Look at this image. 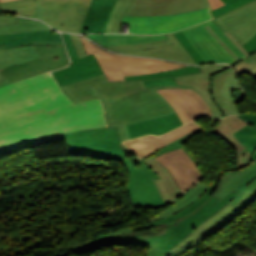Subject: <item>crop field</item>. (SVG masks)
Instances as JSON below:
<instances>
[{
    "label": "crop field",
    "instance_id": "obj_7",
    "mask_svg": "<svg viewBox=\"0 0 256 256\" xmlns=\"http://www.w3.org/2000/svg\"><path fill=\"white\" fill-rule=\"evenodd\" d=\"M221 175L216 176L213 184L210 185L208 190L197 201H195L184 210L180 211L178 214L169 216L156 222H150L148 224L133 227L132 230L134 231L136 229L148 228L155 225L173 230L168 242L163 249L167 252L193 229L198 227L199 224L220 210L224 205H226L236 196V194L230 192L221 201L210 196L217 188Z\"/></svg>",
    "mask_w": 256,
    "mask_h": 256
},
{
    "label": "crop field",
    "instance_id": "obj_2",
    "mask_svg": "<svg viewBox=\"0 0 256 256\" xmlns=\"http://www.w3.org/2000/svg\"><path fill=\"white\" fill-rule=\"evenodd\" d=\"M71 64L52 72L64 93L78 101L145 88L143 80L108 83L94 55L87 56L79 37L62 33Z\"/></svg>",
    "mask_w": 256,
    "mask_h": 256
},
{
    "label": "crop field",
    "instance_id": "obj_43",
    "mask_svg": "<svg viewBox=\"0 0 256 256\" xmlns=\"http://www.w3.org/2000/svg\"><path fill=\"white\" fill-rule=\"evenodd\" d=\"M209 2H210L213 9L216 8V7L224 5V3L221 0H209Z\"/></svg>",
    "mask_w": 256,
    "mask_h": 256
},
{
    "label": "crop field",
    "instance_id": "obj_30",
    "mask_svg": "<svg viewBox=\"0 0 256 256\" xmlns=\"http://www.w3.org/2000/svg\"><path fill=\"white\" fill-rule=\"evenodd\" d=\"M249 123L243 129L233 134L252 155L256 150V113L237 115Z\"/></svg>",
    "mask_w": 256,
    "mask_h": 256
},
{
    "label": "crop field",
    "instance_id": "obj_48",
    "mask_svg": "<svg viewBox=\"0 0 256 256\" xmlns=\"http://www.w3.org/2000/svg\"><path fill=\"white\" fill-rule=\"evenodd\" d=\"M254 104H256V102H254Z\"/></svg>",
    "mask_w": 256,
    "mask_h": 256
},
{
    "label": "crop field",
    "instance_id": "obj_44",
    "mask_svg": "<svg viewBox=\"0 0 256 256\" xmlns=\"http://www.w3.org/2000/svg\"><path fill=\"white\" fill-rule=\"evenodd\" d=\"M256 159V151H255V153L250 157V159H249V161H253V160H255Z\"/></svg>",
    "mask_w": 256,
    "mask_h": 256
},
{
    "label": "crop field",
    "instance_id": "obj_42",
    "mask_svg": "<svg viewBox=\"0 0 256 256\" xmlns=\"http://www.w3.org/2000/svg\"><path fill=\"white\" fill-rule=\"evenodd\" d=\"M229 39L243 52V54L247 57L249 54L242 48V46L235 40V38L229 33L227 34Z\"/></svg>",
    "mask_w": 256,
    "mask_h": 256
},
{
    "label": "crop field",
    "instance_id": "obj_12",
    "mask_svg": "<svg viewBox=\"0 0 256 256\" xmlns=\"http://www.w3.org/2000/svg\"><path fill=\"white\" fill-rule=\"evenodd\" d=\"M38 19L66 32H78L91 0H36Z\"/></svg>",
    "mask_w": 256,
    "mask_h": 256
},
{
    "label": "crop field",
    "instance_id": "obj_24",
    "mask_svg": "<svg viewBox=\"0 0 256 256\" xmlns=\"http://www.w3.org/2000/svg\"><path fill=\"white\" fill-rule=\"evenodd\" d=\"M182 125L177 113L158 117L148 121L127 125L126 130L130 139L146 134L161 135Z\"/></svg>",
    "mask_w": 256,
    "mask_h": 256
},
{
    "label": "crop field",
    "instance_id": "obj_36",
    "mask_svg": "<svg viewBox=\"0 0 256 256\" xmlns=\"http://www.w3.org/2000/svg\"><path fill=\"white\" fill-rule=\"evenodd\" d=\"M233 67H235L238 76L242 75L243 73H246L250 74L252 78L256 80V53L238 62Z\"/></svg>",
    "mask_w": 256,
    "mask_h": 256
},
{
    "label": "crop field",
    "instance_id": "obj_18",
    "mask_svg": "<svg viewBox=\"0 0 256 256\" xmlns=\"http://www.w3.org/2000/svg\"><path fill=\"white\" fill-rule=\"evenodd\" d=\"M175 109L183 124L213 115L204 99L191 89L157 90Z\"/></svg>",
    "mask_w": 256,
    "mask_h": 256
},
{
    "label": "crop field",
    "instance_id": "obj_1",
    "mask_svg": "<svg viewBox=\"0 0 256 256\" xmlns=\"http://www.w3.org/2000/svg\"><path fill=\"white\" fill-rule=\"evenodd\" d=\"M101 99L67 105L0 132V154L63 139L60 134L89 128H106Z\"/></svg>",
    "mask_w": 256,
    "mask_h": 256
},
{
    "label": "crop field",
    "instance_id": "obj_9",
    "mask_svg": "<svg viewBox=\"0 0 256 256\" xmlns=\"http://www.w3.org/2000/svg\"><path fill=\"white\" fill-rule=\"evenodd\" d=\"M62 136L72 155L122 161L131 153L120 143L115 128L82 130Z\"/></svg>",
    "mask_w": 256,
    "mask_h": 256
},
{
    "label": "crop field",
    "instance_id": "obj_15",
    "mask_svg": "<svg viewBox=\"0 0 256 256\" xmlns=\"http://www.w3.org/2000/svg\"><path fill=\"white\" fill-rule=\"evenodd\" d=\"M256 198V188L234 205L228 203L220 211L202 223L167 253L177 256L190 249L207 236L227 224L240 210Z\"/></svg>",
    "mask_w": 256,
    "mask_h": 256
},
{
    "label": "crop field",
    "instance_id": "obj_31",
    "mask_svg": "<svg viewBox=\"0 0 256 256\" xmlns=\"http://www.w3.org/2000/svg\"><path fill=\"white\" fill-rule=\"evenodd\" d=\"M0 6V12L20 14L30 16L32 18L37 17V5L35 0H15L3 2L0 3Z\"/></svg>",
    "mask_w": 256,
    "mask_h": 256
},
{
    "label": "crop field",
    "instance_id": "obj_13",
    "mask_svg": "<svg viewBox=\"0 0 256 256\" xmlns=\"http://www.w3.org/2000/svg\"><path fill=\"white\" fill-rule=\"evenodd\" d=\"M206 25H209L240 59L245 57L215 23L210 20L182 30L206 64L226 62L231 65L236 62L227 50L209 34L204 27Z\"/></svg>",
    "mask_w": 256,
    "mask_h": 256
},
{
    "label": "crop field",
    "instance_id": "obj_22",
    "mask_svg": "<svg viewBox=\"0 0 256 256\" xmlns=\"http://www.w3.org/2000/svg\"><path fill=\"white\" fill-rule=\"evenodd\" d=\"M200 127L201 126L196 122H190L167 134L161 136H143L126 141L124 144L141 159L151 156L153 153L162 148L163 145L171 143Z\"/></svg>",
    "mask_w": 256,
    "mask_h": 256
},
{
    "label": "crop field",
    "instance_id": "obj_10",
    "mask_svg": "<svg viewBox=\"0 0 256 256\" xmlns=\"http://www.w3.org/2000/svg\"><path fill=\"white\" fill-rule=\"evenodd\" d=\"M163 228L156 226L155 228H150L145 232L135 233L132 232L131 227H129L113 233L101 235L93 240L68 249L79 254L87 252L95 247L105 245H146L152 250L148 256H171L162 250L171 230Z\"/></svg>",
    "mask_w": 256,
    "mask_h": 256
},
{
    "label": "crop field",
    "instance_id": "obj_4",
    "mask_svg": "<svg viewBox=\"0 0 256 256\" xmlns=\"http://www.w3.org/2000/svg\"><path fill=\"white\" fill-rule=\"evenodd\" d=\"M164 88L187 87H148L101 98L107 112L105 116L108 126L116 127L121 142L128 140L124 125L175 113L168 102L156 91Z\"/></svg>",
    "mask_w": 256,
    "mask_h": 256
},
{
    "label": "crop field",
    "instance_id": "obj_45",
    "mask_svg": "<svg viewBox=\"0 0 256 256\" xmlns=\"http://www.w3.org/2000/svg\"><path fill=\"white\" fill-rule=\"evenodd\" d=\"M225 4H228V3H230V2H232V1H235V0H222Z\"/></svg>",
    "mask_w": 256,
    "mask_h": 256
},
{
    "label": "crop field",
    "instance_id": "obj_46",
    "mask_svg": "<svg viewBox=\"0 0 256 256\" xmlns=\"http://www.w3.org/2000/svg\"><path fill=\"white\" fill-rule=\"evenodd\" d=\"M1 79H4V77L0 75V80H1Z\"/></svg>",
    "mask_w": 256,
    "mask_h": 256
},
{
    "label": "crop field",
    "instance_id": "obj_6",
    "mask_svg": "<svg viewBox=\"0 0 256 256\" xmlns=\"http://www.w3.org/2000/svg\"><path fill=\"white\" fill-rule=\"evenodd\" d=\"M201 73L174 77L178 86H188L198 92L211 107L216 120L240 113L233 90L240 89L233 69L227 65L199 67Z\"/></svg>",
    "mask_w": 256,
    "mask_h": 256
},
{
    "label": "crop field",
    "instance_id": "obj_41",
    "mask_svg": "<svg viewBox=\"0 0 256 256\" xmlns=\"http://www.w3.org/2000/svg\"><path fill=\"white\" fill-rule=\"evenodd\" d=\"M206 28H207V30L211 33V35H212L215 39H217V40L228 50V52H229L237 61L240 60V59L225 45V43L215 34V32H214L209 26H207Z\"/></svg>",
    "mask_w": 256,
    "mask_h": 256
},
{
    "label": "crop field",
    "instance_id": "obj_28",
    "mask_svg": "<svg viewBox=\"0 0 256 256\" xmlns=\"http://www.w3.org/2000/svg\"><path fill=\"white\" fill-rule=\"evenodd\" d=\"M85 36L100 43L102 46L126 45V44L142 43V42H149V41L168 38L166 35L138 36V35H130V34H102V35L85 34Z\"/></svg>",
    "mask_w": 256,
    "mask_h": 256
},
{
    "label": "crop field",
    "instance_id": "obj_29",
    "mask_svg": "<svg viewBox=\"0 0 256 256\" xmlns=\"http://www.w3.org/2000/svg\"><path fill=\"white\" fill-rule=\"evenodd\" d=\"M209 185L202 184L200 182L196 183L190 190L183 194L178 200L172 202L170 206L165 208L163 211L156 214L151 221L159 220L165 218L169 215L175 214L187 207L195 200H197L208 188Z\"/></svg>",
    "mask_w": 256,
    "mask_h": 256
},
{
    "label": "crop field",
    "instance_id": "obj_25",
    "mask_svg": "<svg viewBox=\"0 0 256 256\" xmlns=\"http://www.w3.org/2000/svg\"><path fill=\"white\" fill-rule=\"evenodd\" d=\"M219 122L220 124L217 125L216 128L211 130L210 132L214 133L215 135L221 133L233 143V145L237 149L236 168H240L249 164L250 162H248L247 160L251 155L245 150L242 144L232 135L233 133L244 127L247 123L237 116H228L220 120Z\"/></svg>",
    "mask_w": 256,
    "mask_h": 256
},
{
    "label": "crop field",
    "instance_id": "obj_8",
    "mask_svg": "<svg viewBox=\"0 0 256 256\" xmlns=\"http://www.w3.org/2000/svg\"><path fill=\"white\" fill-rule=\"evenodd\" d=\"M88 55L94 54L109 82L123 81L124 76L148 74L186 65L143 57H127L107 52L80 36Z\"/></svg>",
    "mask_w": 256,
    "mask_h": 256
},
{
    "label": "crop field",
    "instance_id": "obj_34",
    "mask_svg": "<svg viewBox=\"0 0 256 256\" xmlns=\"http://www.w3.org/2000/svg\"><path fill=\"white\" fill-rule=\"evenodd\" d=\"M201 131H205V129L201 127L200 129H198V130H196V131H194V132H192V133H190V134L184 136L183 138H181V139H179V140H177V141H175V142H173V143H171V144H169V145L164 146L162 149H160L158 152H156V153H155L154 155H152V156L155 158V157H157V156H159V155H161V154H163V153H165V152H167V151H171V150H175V149L182 148V149L186 152V154L193 160V162H194L197 166L201 165V164L194 158V156L182 145V144H183L187 139H189L191 136H193V135H195V134H197V133H199V132H201Z\"/></svg>",
    "mask_w": 256,
    "mask_h": 256
},
{
    "label": "crop field",
    "instance_id": "obj_40",
    "mask_svg": "<svg viewBox=\"0 0 256 256\" xmlns=\"http://www.w3.org/2000/svg\"><path fill=\"white\" fill-rule=\"evenodd\" d=\"M242 46L250 55L256 52V35Z\"/></svg>",
    "mask_w": 256,
    "mask_h": 256
},
{
    "label": "crop field",
    "instance_id": "obj_17",
    "mask_svg": "<svg viewBox=\"0 0 256 256\" xmlns=\"http://www.w3.org/2000/svg\"><path fill=\"white\" fill-rule=\"evenodd\" d=\"M212 20L223 33L230 32L242 45L256 34V0Z\"/></svg>",
    "mask_w": 256,
    "mask_h": 256
},
{
    "label": "crop field",
    "instance_id": "obj_3",
    "mask_svg": "<svg viewBox=\"0 0 256 256\" xmlns=\"http://www.w3.org/2000/svg\"><path fill=\"white\" fill-rule=\"evenodd\" d=\"M71 103L50 72L13 82L0 88V131Z\"/></svg>",
    "mask_w": 256,
    "mask_h": 256
},
{
    "label": "crop field",
    "instance_id": "obj_23",
    "mask_svg": "<svg viewBox=\"0 0 256 256\" xmlns=\"http://www.w3.org/2000/svg\"><path fill=\"white\" fill-rule=\"evenodd\" d=\"M116 0H92L80 33H104Z\"/></svg>",
    "mask_w": 256,
    "mask_h": 256
},
{
    "label": "crop field",
    "instance_id": "obj_11",
    "mask_svg": "<svg viewBox=\"0 0 256 256\" xmlns=\"http://www.w3.org/2000/svg\"><path fill=\"white\" fill-rule=\"evenodd\" d=\"M42 58L1 69L0 73L10 82L27 76L67 66L69 58L63 41H33Z\"/></svg>",
    "mask_w": 256,
    "mask_h": 256
},
{
    "label": "crop field",
    "instance_id": "obj_26",
    "mask_svg": "<svg viewBox=\"0 0 256 256\" xmlns=\"http://www.w3.org/2000/svg\"><path fill=\"white\" fill-rule=\"evenodd\" d=\"M142 160L159 176L160 179L155 180V183L165 201V204L170 203L182 195V190L179 188L173 176L164 165L159 163L152 156Z\"/></svg>",
    "mask_w": 256,
    "mask_h": 256
},
{
    "label": "crop field",
    "instance_id": "obj_21",
    "mask_svg": "<svg viewBox=\"0 0 256 256\" xmlns=\"http://www.w3.org/2000/svg\"><path fill=\"white\" fill-rule=\"evenodd\" d=\"M256 187V161L241 170L222 175L218 188L212 196L222 199L230 191L238 194L230 203L234 204Z\"/></svg>",
    "mask_w": 256,
    "mask_h": 256
},
{
    "label": "crop field",
    "instance_id": "obj_27",
    "mask_svg": "<svg viewBox=\"0 0 256 256\" xmlns=\"http://www.w3.org/2000/svg\"><path fill=\"white\" fill-rule=\"evenodd\" d=\"M166 35L171 39L174 45L151 48L124 54L144 55L155 58L196 64L193 58L188 54V52L183 48V46L179 43V41L174 37L173 34Z\"/></svg>",
    "mask_w": 256,
    "mask_h": 256
},
{
    "label": "crop field",
    "instance_id": "obj_37",
    "mask_svg": "<svg viewBox=\"0 0 256 256\" xmlns=\"http://www.w3.org/2000/svg\"><path fill=\"white\" fill-rule=\"evenodd\" d=\"M174 35L185 47V49L189 52V54L194 58L197 64H205L204 61L199 56V54L194 49V47L191 45V43L188 41V39L183 35L181 31L174 33Z\"/></svg>",
    "mask_w": 256,
    "mask_h": 256
},
{
    "label": "crop field",
    "instance_id": "obj_20",
    "mask_svg": "<svg viewBox=\"0 0 256 256\" xmlns=\"http://www.w3.org/2000/svg\"><path fill=\"white\" fill-rule=\"evenodd\" d=\"M155 159L163 163L171 171L183 192L204 178L198 167L182 149L165 153Z\"/></svg>",
    "mask_w": 256,
    "mask_h": 256
},
{
    "label": "crop field",
    "instance_id": "obj_19",
    "mask_svg": "<svg viewBox=\"0 0 256 256\" xmlns=\"http://www.w3.org/2000/svg\"><path fill=\"white\" fill-rule=\"evenodd\" d=\"M206 7V0H132L125 16L174 15Z\"/></svg>",
    "mask_w": 256,
    "mask_h": 256
},
{
    "label": "crop field",
    "instance_id": "obj_16",
    "mask_svg": "<svg viewBox=\"0 0 256 256\" xmlns=\"http://www.w3.org/2000/svg\"><path fill=\"white\" fill-rule=\"evenodd\" d=\"M130 173V182L127 186L128 193L135 206L140 207H162L163 199L153 180L157 175L142 161V166L136 168L130 159L122 161Z\"/></svg>",
    "mask_w": 256,
    "mask_h": 256
},
{
    "label": "crop field",
    "instance_id": "obj_5",
    "mask_svg": "<svg viewBox=\"0 0 256 256\" xmlns=\"http://www.w3.org/2000/svg\"><path fill=\"white\" fill-rule=\"evenodd\" d=\"M32 40H62L60 34L39 21L0 16V69L40 58ZM10 83L4 79L0 86Z\"/></svg>",
    "mask_w": 256,
    "mask_h": 256
},
{
    "label": "crop field",
    "instance_id": "obj_35",
    "mask_svg": "<svg viewBox=\"0 0 256 256\" xmlns=\"http://www.w3.org/2000/svg\"><path fill=\"white\" fill-rule=\"evenodd\" d=\"M170 44H172V42L170 41V39H167V40H161V41H155V42H149V43H143V44L127 45V46H105V48L123 53V52L135 51V50L163 46V45H170Z\"/></svg>",
    "mask_w": 256,
    "mask_h": 256
},
{
    "label": "crop field",
    "instance_id": "obj_39",
    "mask_svg": "<svg viewBox=\"0 0 256 256\" xmlns=\"http://www.w3.org/2000/svg\"><path fill=\"white\" fill-rule=\"evenodd\" d=\"M146 86H156V85H168V86H177L173 77L171 78H163V79H151L144 80Z\"/></svg>",
    "mask_w": 256,
    "mask_h": 256
},
{
    "label": "crop field",
    "instance_id": "obj_38",
    "mask_svg": "<svg viewBox=\"0 0 256 256\" xmlns=\"http://www.w3.org/2000/svg\"><path fill=\"white\" fill-rule=\"evenodd\" d=\"M249 1H252V0H237L235 2H232V3L228 4V5H224L222 7L216 8L213 11H211V13L214 15V17H216V16H218V15L224 13V12H227V11H229L233 8H236L240 5H243V4H245Z\"/></svg>",
    "mask_w": 256,
    "mask_h": 256
},
{
    "label": "crop field",
    "instance_id": "obj_14",
    "mask_svg": "<svg viewBox=\"0 0 256 256\" xmlns=\"http://www.w3.org/2000/svg\"><path fill=\"white\" fill-rule=\"evenodd\" d=\"M208 19L211 16L206 8L174 16L124 17L123 22L130 24V33L159 34L174 32Z\"/></svg>",
    "mask_w": 256,
    "mask_h": 256
},
{
    "label": "crop field",
    "instance_id": "obj_32",
    "mask_svg": "<svg viewBox=\"0 0 256 256\" xmlns=\"http://www.w3.org/2000/svg\"><path fill=\"white\" fill-rule=\"evenodd\" d=\"M131 0H117L113 12L109 18L105 33L119 32L123 15Z\"/></svg>",
    "mask_w": 256,
    "mask_h": 256
},
{
    "label": "crop field",
    "instance_id": "obj_33",
    "mask_svg": "<svg viewBox=\"0 0 256 256\" xmlns=\"http://www.w3.org/2000/svg\"><path fill=\"white\" fill-rule=\"evenodd\" d=\"M199 68L188 66L172 71H166V72H160V73H154V74H148V75H140V76H130L125 77L126 80H139V79H151V78H162V77H170V76H177V75H185V74H192V73H198Z\"/></svg>",
    "mask_w": 256,
    "mask_h": 256
},
{
    "label": "crop field",
    "instance_id": "obj_47",
    "mask_svg": "<svg viewBox=\"0 0 256 256\" xmlns=\"http://www.w3.org/2000/svg\"><path fill=\"white\" fill-rule=\"evenodd\" d=\"M0 1H6V0H0Z\"/></svg>",
    "mask_w": 256,
    "mask_h": 256
}]
</instances>
